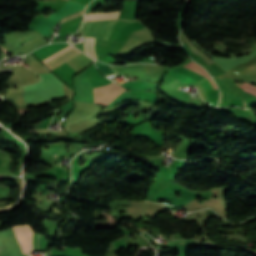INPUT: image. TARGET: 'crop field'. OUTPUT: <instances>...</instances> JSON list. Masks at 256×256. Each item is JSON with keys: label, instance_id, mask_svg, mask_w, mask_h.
Instances as JSON below:
<instances>
[{"label": "crop field", "instance_id": "5", "mask_svg": "<svg viewBox=\"0 0 256 256\" xmlns=\"http://www.w3.org/2000/svg\"><path fill=\"white\" fill-rule=\"evenodd\" d=\"M80 51L77 50L76 48H72L66 52H64L63 54L53 58L52 60L44 63V65H46L50 70L59 66L60 64L66 62L67 60H69L70 58H72L73 56H75L76 54H78Z\"/></svg>", "mask_w": 256, "mask_h": 256}, {"label": "crop field", "instance_id": "8", "mask_svg": "<svg viewBox=\"0 0 256 256\" xmlns=\"http://www.w3.org/2000/svg\"><path fill=\"white\" fill-rule=\"evenodd\" d=\"M122 85H124L126 89H143L144 90V85L142 82H127Z\"/></svg>", "mask_w": 256, "mask_h": 256}, {"label": "crop field", "instance_id": "10", "mask_svg": "<svg viewBox=\"0 0 256 256\" xmlns=\"http://www.w3.org/2000/svg\"><path fill=\"white\" fill-rule=\"evenodd\" d=\"M1 50H2L3 54H5L7 52L3 47H1Z\"/></svg>", "mask_w": 256, "mask_h": 256}, {"label": "crop field", "instance_id": "9", "mask_svg": "<svg viewBox=\"0 0 256 256\" xmlns=\"http://www.w3.org/2000/svg\"><path fill=\"white\" fill-rule=\"evenodd\" d=\"M83 12H84V10L81 11V12L75 13V14H73V15L67 16V17H65V18L62 19V22H65V21H67V20H70V19L76 18V17H78V16H81V15H83ZM62 22H61V23H62Z\"/></svg>", "mask_w": 256, "mask_h": 256}, {"label": "crop field", "instance_id": "1", "mask_svg": "<svg viewBox=\"0 0 256 256\" xmlns=\"http://www.w3.org/2000/svg\"><path fill=\"white\" fill-rule=\"evenodd\" d=\"M41 82L24 87L25 102H40L63 96L61 82L52 74H39Z\"/></svg>", "mask_w": 256, "mask_h": 256}, {"label": "crop field", "instance_id": "7", "mask_svg": "<svg viewBox=\"0 0 256 256\" xmlns=\"http://www.w3.org/2000/svg\"><path fill=\"white\" fill-rule=\"evenodd\" d=\"M96 65L97 67L100 69V71L104 74V75H107V74H111V73H116L117 71H115L113 68H111L110 66L108 65H105V64H101V63H98L96 62ZM117 74V73H116ZM113 75V74H112ZM108 76V75H107Z\"/></svg>", "mask_w": 256, "mask_h": 256}, {"label": "crop field", "instance_id": "4", "mask_svg": "<svg viewBox=\"0 0 256 256\" xmlns=\"http://www.w3.org/2000/svg\"><path fill=\"white\" fill-rule=\"evenodd\" d=\"M116 21L86 22L83 24L80 33L82 35H92L107 40L111 28Z\"/></svg>", "mask_w": 256, "mask_h": 256}, {"label": "crop field", "instance_id": "2", "mask_svg": "<svg viewBox=\"0 0 256 256\" xmlns=\"http://www.w3.org/2000/svg\"><path fill=\"white\" fill-rule=\"evenodd\" d=\"M74 90H75V96L72 99L93 103L92 86H91L87 76L85 75L84 71L78 75H75ZM132 98H133L132 95L125 92L121 96H119L113 103H111L109 105V107H111L112 105H114L116 103L120 104V103L127 101L129 99H132Z\"/></svg>", "mask_w": 256, "mask_h": 256}, {"label": "crop field", "instance_id": "6", "mask_svg": "<svg viewBox=\"0 0 256 256\" xmlns=\"http://www.w3.org/2000/svg\"><path fill=\"white\" fill-rule=\"evenodd\" d=\"M169 73L174 76L176 79H178L179 81L185 83V84H189V83H193L196 82L197 80H194L192 78L186 77L184 75L178 74L176 72L173 71H169Z\"/></svg>", "mask_w": 256, "mask_h": 256}, {"label": "crop field", "instance_id": "3", "mask_svg": "<svg viewBox=\"0 0 256 256\" xmlns=\"http://www.w3.org/2000/svg\"><path fill=\"white\" fill-rule=\"evenodd\" d=\"M84 7L85 5L77 4L75 2L68 0L64 8L50 14L47 18L37 21L34 28L40 30L42 34L50 36L51 28L59 21L60 18L80 11L84 9Z\"/></svg>", "mask_w": 256, "mask_h": 256}, {"label": "crop field", "instance_id": "11", "mask_svg": "<svg viewBox=\"0 0 256 256\" xmlns=\"http://www.w3.org/2000/svg\"><path fill=\"white\" fill-rule=\"evenodd\" d=\"M54 156H58V154H57V155H54Z\"/></svg>", "mask_w": 256, "mask_h": 256}]
</instances>
